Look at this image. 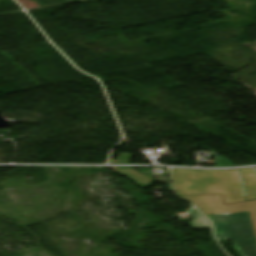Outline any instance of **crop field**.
Wrapping results in <instances>:
<instances>
[{
	"instance_id": "8a807250",
	"label": "crop field",
	"mask_w": 256,
	"mask_h": 256,
	"mask_svg": "<svg viewBox=\"0 0 256 256\" xmlns=\"http://www.w3.org/2000/svg\"><path fill=\"white\" fill-rule=\"evenodd\" d=\"M248 200L256 199V171L240 170ZM179 195L223 193L225 204L246 200L238 171L172 170Z\"/></svg>"
},
{
	"instance_id": "e52e79f7",
	"label": "crop field",
	"mask_w": 256,
	"mask_h": 256,
	"mask_svg": "<svg viewBox=\"0 0 256 256\" xmlns=\"http://www.w3.org/2000/svg\"><path fill=\"white\" fill-rule=\"evenodd\" d=\"M131 155L127 154H120L117 161H111L110 163H129Z\"/></svg>"
},
{
	"instance_id": "dd49c442",
	"label": "crop field",
	"mask_w": 256,
	"mask_h": 256,
	"mask_svg": "<svg viewBox=\"0 0 256 256\" xmlns=\"http://www.w3.org/2000/svg\"><path fill=\"white\" fill-rule=\"evenodd\" d=\"M193 204L222 201L221 195H200L182 197Z\"/></svg>"
},
{
	"instance_id": "412701ff",
	"label": "crop field",
	"mask_w": 256,
	"mask_h": 256,
	"mask_svg": "<svg viewBox=\"0 0 256 256\" xmlns=\"http://www.w3.org/2000/svg\"><path fill=\"white\" fill-rule=\"evenodd\" d=\"M113 171L129 178L134 183H136L137 185H139L143 188L149 187L151 185V183L155 181V180H152L150 177L143 175V174L139 173L138 171L131 169V168L114 169Z\"/></svg>"
},
{
	"instance_id": "f4fd0767",
	"label": "crop field",
	"mask_w": 256,
	"mask_h": 256,
	"mask_svg": "<svg viewBox=\"0 0 256 256\" xmlns=\"http://www.w3.org/2000/svg\"><path fill=\"white\" fill-rule=\"evenodd\" d=\"M241 256H256V241L232 243Z\"/></svg>"
},
{
	"instance_id": "ac0d7876",
	"label": "crop field",
	"mask_w": 256,
	"mask_h": 256,
	"mask_svg": "<svg viewBox=\"0 0 256 256\" xmlns=\"http://www.w3.org/2000/svg\"><path fill=\"white\" fill-rule=\"evenodd\" d=\"M207 217L214 222V232L218 240H256L248 212Z\"/></svg>"
},
{
	"instance_id": "34b2d1b8",
	"label": "crop field",
	"mask_w": 256,
	"mask_h": 256,
	"mask_svg": "<svg viewBox=\"0 0 256 256\" xmlns=\"http://www.w3.org/2000/svg\"><path fill=\"white\" fill-rule=\"evenodd\" d=\"M205 215L231 214L249 211L256 235V200L224 206L222 202L196 205Z\"/></svg>"
}]
</instances>
